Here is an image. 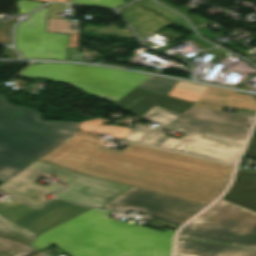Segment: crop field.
Returning a JSON list of instances; mask_svg holds the SVG:
<instances>
[{
  "instance_id": "obj_7",
  "label": "crop field",
  "mask_w": 256,
  "mask_h": 256,
  "mask_svg": "<svg viewBox=\"0 0 256 256\" xmlns=\"http://www.w3.org/2000/svg\"><path fill=\"white\" fill-rule=\"evenodd\" d=\"M143 118L191 136L201 131L245 139L254 117L195 107L180 115L154 106Z\"/></svg>"
},
{
  "instance_id": "obj_21",
  "label": "crop field",
  "mask_w": 256,
  "mask_h": 256,
  "mask_svg": "<svg viewBox=\"0 0 256 256\" xmlns=\"http://www.w3.org/2000/svg\"><path fill=\"white\" fill-rule=\"evenodd\" d=\"M177 82H178L177 80H173V79L151 76L142 84H140L138 88L168 95V93L176 85Z\"/></svg>"
},
{
  "instance_id": "obj_27",
  "label": "crop field",
  "mask_w": 256,
  "mask_h": 256,
  "mask_svg": "<svg viewBox=\"0 0 256 256\" xmlns=\"http://www.w3.org/2000/svg\"><path fill=\"white\" fill-rule=\"evenodd\" d=\"M146 132V128L135 125L133 129L126 136L125 140L139 143Z\"/></svg>"
},
{
  "instance_id": "obj_2",
  "label": "crop field",
  "mask_w": 256,
  "mask_h": 256,
  "mask_svg": "<svg viewBox=\"0 0 256 256\" xmlns=\"http://www.w3.org/2000/svg\"><path fill=\"white\" fill-rule=\"evenodd\" d=\"M109 214L91 209L39 235L31 246L55 244L72 256H171L174 231L127 224Z\"/></svg>"
},
{
  "instance_id": "obj_31",
  "label": "crop field",
  "mask_w": 256,
  "mask_h": 256,
  "mask_svg": "<svg viewBox=\"0 0 256 256\" xmlns=\"http://www.w3.org/2000/svg\"><path fill=\"white\" fill-rule=\"evenodd\" d=\"M40 1H60V2H65L67 0H40Z\"/></svg>"
},
{
  "instance_id": "obj_9",
  "label": "crop field",
  "mask_w": 256,
  "mask_h": 256,
  "mask_svg": "<svg viewBox=\"0 0 256 256\" xmlns=\"http://www.w3.org/2000/svg\"><path fill=\"white\" fill-rule=\"evenodd\" d=\"M204 207L205 205L131 187L103 209L138 211L183 224Z\"/></svg>"
},
{
  "instance_id": "obj_14",
  "label": "crop field",
  "mask_w": 256,
  "mask_h": 256,
  "mask_svg": "<svg viewBox=\"0 0 256 256\" xmlns=\"http://www.w3.org/2000/svg\"><path fill=\"white\" fill-rule=\"evenodd\" d=\"M36 235L0 215V256H27L38 251L29 246Z\"/></svg>"
},
{
  "instance_id": "obj_25",
  "label": "crop field",
  "mask_w": 256,
  "mask_h": 256,
  "mask_svg": "<svg viewBox=\"0 0 256 256\" xmlns=\"http://www.w3.org/2000/svg\"><path fill=\"white\" fill-rule=\"evenodd\" d=\"M163 130H155V129H151L149 128V131L145 137V139L143 140L142 143L144 144H148V145H153V146H157L159 143H161L165 138H167L166 136H163L164 132H162Z\"/></svg>"
},
{
  "instance_id": "obj_6",
  "label": "crop field",
  "mask_w": 256,
  "mask_h": 256,
  "mask_svg": "<svg viewBox=\"0 0 256 256\" xmlns=\"http://www.w3.org/2000/svg\"><path fill=\"white\" fill-rule=\"evenodd\" d=\"M178 238L256 249V213L221 199L187 224Z\"/></svg>"
},
{
  "instance_id": "obj_28",
  "label": "crop field",
  "mask_w": 256,
  "mask_h": 256,
  "mask_svg": "<svg viewBox=\"0 0 256 256\" xmlns=\"http://www.w3.org/2000/svg\"><path fill=\"white\" fill-rule=\"evenodd\" d=\"M243 155L256 159V126Z\"/></svg>"
},
{
  "instance_id": "obj_10",
  "label": "crop field",
  "mask_w": 256,
  "mask_h": 256,
  "mask_svg": "<svg viewBox=\"0 0 256 256\" xmlns=\"http://www.w3.org/2000/svg\"><path fill=\"white\" fill-rule=\"evenodd\" d=\"M99 136L79 130L39 160L80 173L102 153Z\"/></svg>"
},
{
  "instance_id": "obj_13",
  "label": "crop field",
  "mask_w": 256,
  "mask_h": 256,
  "mask_svg": "<svg viewBox=\"0 0 256 256\" xmlns=\"http://www.w3.org/2000/svg\"><path fill=\"white\" fill-rule=\"evenodd\" d=\"M193 104L194 103L135 88L114 105L142 117L154 105L182 114L192 107Z\"/></svg>"
},
{
  "instance_id": "obj_29",
  "label": "crop field",
  "mask_w": 256,
  "mask_h": 256,
  "mask_svg": "<svg viewBox=\"0 0 256 256\" xmlns=\"http://www.w3.org/2000/svg\"><path fill=\"white\" fill-rule=\"evenodd\" d=\"M13 51H11L9 48H4V54L3 57H9V58H17L16 54Z\"/></svg>"
},
{
  "instance_id": "obj_12",
  "label": "crop field",
  "mask_w": 256,
  "mask_h": 256,
  "mask_svg": "<svg viewBox=\"0 0 256 256\" xmlns=\"http://www.w3.org/2000/svg\"><path fill=\"white\" fill-rule=\"evenodd\" d=\"M88 209L90 208L53 199L42 208L31 212L15 223L39 235Z\"/></svg>"
},
{
  "instance_id": "obj_4",
  "label": "crop field",
  "mask_w": 256,
  "mask_h": 256,
  "mask_svg": "<svg viewBox=\"0 0 256 256\" xmlns=\"http://www.w3.org/2000/svg\"><path fill=\"white\" fill-rule=\"evenodd\" d=\"M45 172L62 178V182L66 185L56 194V197L99 209L129 188V186L81 175L37 160L1 184L0 191L34 206H40L48 201L44 199L47 193L61 188L53 183L46 187L32 183Z\"/></svg>"
},
{
  "instance_id": "obj_3",
  "label": "crop field",
  "mask_w": 256,
  "mask_h": 256,
  "mask_svg": "<svg viewBox=\"0 0 256 256\" xmlns=\"http://www.w3.org/2000/svg\"><path fill=\"white\" fill-rule=\"evenodd\" d=\"M79 123L43 121L40 112L0 96V181L31 164L78 131Z\"/></svg>"
},
{
  "instance_id": "obj_11",
  "label": "crop field",
  "mask_w": 256,
  "mask_h": 256,
  "mask_svg": "<svg viewBox=\"0 0 256 256\" xmlns=\"http://www.w3.org/2000/svg\"><path fill=\"white\" fill-rule=\"evenodd\" d=\"M244 141L197 132L193 137L185 135L179 140L170 138L159 147L235 164Z\"/></svg>"
},
{
  "instance_id": "obj_26",
  "label": "crop field",
  "mask_w": 256,
  "mask_h": 256,
  "mask_svg": "<svg viewBox=\"0 0 256 256\" xmlns=\"http://www.w3.org/2000/svg\"><path fill=\"white\" fill-rule=\"evenodd\" d=\"M42 4H44L43 2H36V1H28V0H18L17 3V9L20 10V14H28L31 11H33L34 9L38 8L39 6H41Z\"/></svg>"
},
{
  "instance_id": "obj_30",
  "label": "crop field",
  "mask_w": 256,
  "mask_h": 256,
  "mask_svg": "<svg viewBox=\"0 0 256 256\" xmlns=\"http://www.w3.org/2000/svg\"><path fill=\"white\" fill-rule=\"evenodd\" d=\"M32 256H46V255H44V254L38 252V253H36V254H34V255H32Z\"/></svg>"
},
{
  "instance_id": "obj_15",
  "label": "crop field",
  "mask_w": 256,
  "mask_h": 256,
  "mask_svg": "<svg viewBox=\"0 0 256 256\" xmlns=\"http://www.w3.org/2000/svg\"><path fill=\"white\" fill-rule=\"evenodd\" d=\"M222 198L256 212V173L237 170Z\"/></svg>"
},
{
  "instance_id": "obj_16",
  "label": "crop field",
  "mask_w": 256,
  "mask_h": 256,
  "mask_svg": "<svg viewBox=\"0 0 256 256\" xmlns=\"http://www.w3.org/2000/svg\"><path fill=\"white\" fill-rule=\"evenodd\" d=\"M175 256H256V250L177 240Z\"/></svg>"
},
{
  "instance_id": "obj_24",
  "label": "crop field",
  "mask_w": 256,
  "mask_h": 256,
  "mask_svg": "<svg viewBox=\"0 0 256 256\" xmlns=\"http://www.w3.org/2000/svg\"><path fill=\"white\" fill-rule=\"evenodd\" d=\"M71 3L117 8L125 3L124 0H70Z\"/></svg>"
},
{
  "instance_id": "obj_8",
  "label": "crop field",
  "mask_w": 256,
  "mask_h": 256,
  "mask_svg": "<svg viewBox=\"0 0 256 256\" xmlns=\"http://www.w3.org/2000/svg\"><path fill=\"white\" fill-rule=\"evenodd\" d=\"M49 6L22 21L16 28V49L22 59L66 60L69 35L46 32Z\"/></svg>"
},
{
  "instance_id": "obj_1",
  "label": "crop field",
  "mask_w": 256,
  "mask_h": 256,
  "mask_svg": "<svg viewBox=\"0 0 256 256\" xmlns=\"http://www.w3.org/2000/svg\"><path fill=\"white\" fill-rule=\"evenodd\" d=\"M233 166L129 145L107 149L82 174L208 205L227 187Z\"/></svg>"
},
{
  "instance_id": "obj_17",
  "label": "crop field",
  "mask_w": 256,
  "mask_h": 256,
  "mask_svg": "<svg viewBox=\"0 0 256 256\" xmlns=\"http://www.w3.org/2000/svg\"><path fill=\"white\" fill-rule=\"evenodd\" d=\"M103 122L110 123V121L95 118L81 122L79 129L104 134L112 137H117L121 139H124L127 133L131 130V128L129 127L117 125H102Z\"/></svg>"
},
{
  "instance_id": "obj_23",
  "label": "crop field",
  "mask_w": 256,
  "mask_h": 256,
  "mask_svg": "<svg viewBox=\"0 0 256 256\" xmlns=\"http://www.w3.org/2000/svg\"><path fill=\"white\" fill-rule=\"evenodd\" d=\"M156 1L157 2L162 1V2H164L163 5H165V6L169 7V8H171V9H173V10H175V11H177V12L183 14V15H185L187 17V19L190 21V23L193 25V27L201 26V25H205V24H210L211 23V22H209V21H207V20H205V19H203V18H201V17H199V16H197L195 14H194L195 16H192V15L188 14L190 11H192L189 8H177V7L171 5V4H169V3H167V2H165L163 0H156Z\"/></svg>"
},
{
  "instance_id": "obj_18",
  "label": "crop field",
  "mask_w": 256,
  "mask_h": 256,
  "mask_svg": "<svg viewBox=\"0 0 256 256\" xmlns=\"http://www.w3.org/2000/svg\"><path fill=\"white\" fill-rule=\"evenodd\" d=\"M234 92L235 91L233 90L209 86L198 101L225 106V104L228 102V100L230 99ZM198 101L194 104L195 107L207 108L218 111L222 110L221 107L201 104L198 103Z\"/></svg>"
},
{
  "instance_id": "obj_20",
  "label": "crop field",
  "mask_w": 256,
  "mask_h": 256,
  "mask_svg": "<svg viewBox=\"0 0 256 256\" xmlns=\"http://www.w3.org/2000/svg\"><path fill=\"white\" fill-rule=\"evenodd\" d=\"M35 209L15 199L0 203V214L14 222Z\"/></svg>"
},
{
  "instance_id": "obj_19",
  "label": "crop field",
  "mask_w": 256,
  "mask_h": 256,
  "mask_svg": "<svg viewBox=\"0 0 256 256\" xmlns=\"http://www.w3.org/2000/svg\"><path fill=\"white\" fill-rule=\"evenodd\" d=\"M208 86L179 81L169 96L196 102Z\"/></svg>"
},
{
  "instance_id": "obj_5",
  "label": "crop field",
  "mask_w": 256,
  "mask_h": 256,
  "mask_svg": "<svg viewBox=\"0 0 256 256\" xmlns=\"http://www.w3.org/2000/svg\"><path fill=\"white\" fill-rule=\"evenodd\" d=\"M17 76L65 83L113 103L149 77L107 68L40 62H35Z\"/></svg>"
},
{
  "instance_id": "obj_22",
  "label": "crop field",
  "mask_w": 256,
  "mask_h": 256,
  "mask_svg": "<svg viewBox=\"0 0 256 256\" xmlns=\"http://www.w3.org/2000/svg\"><path fill=\"white\" fill-rule=\"evenodd\" d=\"M226 106L256 110V101L252 97L234 93Z\"/></svg>"
}]
</instances>
